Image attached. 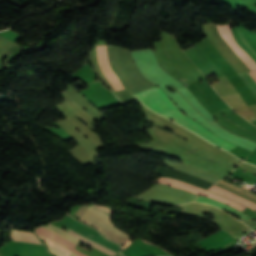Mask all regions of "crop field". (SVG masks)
Returning a JSON list of instances; mask_svg holds the SVG:
<instances>
[{
	"label": "crop field",
	"mask_w": 256,
	"mask_h": 256,
	"mask_svg": "<svg viewBox=\"0 0 256 256\" xmlns=\"http://www.w3.org/2000/svg\"><path fill=\"white\" fill-rule=\"evenodd\" d=\"M122 256V255H121Z\"/></svg>",
	"instance_id": "obj_15"
},
{
	"label": "crop field",
	"mask_w": 256,
	"mask_h": 256,
	"mask_svg": "<svg viewBox=\"0 0 256 256\" xmlns=\"http://www.w3.org/2000/svg\"><path fill=\"white\" fill-rule=\"evenodd\" d=\"M247 73L256 81V69L252 71H247Z\"/></svg>",
	"instance_id": "obj_14"
},
{
	"label": "crop field",
	"mask_w": 256,
	"mask_h": 256,
	"mask_svg": "<svg viewBox=\"0 0 256 256\" xmlns=\"http://www.w3.org/2000/svg\"><path fill=\"white\" fill-rule=\"evenodd\" d=\"M209 190L213 191L215 193H218L220 195H223L225 197L231 198V199H233V200H235V201H237V202H239V203H241V204H243V205H245V206H247L249 208H252V209L256 210V204L255 203H252V202H250V201H248V200H246V199H244L242 197H239V196H237V195H235V194H233L231 192H228V191H226V190H224L222 188H219V187H217L215 185L211 189H209Z\"/></svg>",
	"instance_id": "obj_9"
},
{
	"label": "crop field",
	"mask_w": 256,
	"mask_h": 256,
	"mask_svg": "<svg viewBox=\"0 0 256 256\" xmlns=\"http://www.w3.org/2000/svg\"><path fill=\"white\" fill-rule=\"evenodd\" d=\"M59 222L68 226L69 228H71V229H73V230H75V231H77V232H79V233H81V234H83V235H85V236H87V237H89V238H91V239H93V240H95V241H97V242H99V243L117 251V252H119V250H120L119 246L103 239L95 229H93L91 227H88V226L80 223L77 220L72 219L68 215L66 216L65 219H63ZM43 227L52 231V232H54V233H56V234H58V235H60V236H62V237H64V238H66V239H68V240H70V241H72V242H74V243H76V244L78 242H80L81 239H83L82 242H84V243H86V244H88L92 247H95V248H97V249H99V250H101V251H103V252H105V253H107L111 256L116 254V252H114V251H112V250H110V249H108V248H106V247H104V246H102V245H100V244H98V243H96V242H94V241H92V240H90V239H88V238L70 230V229H68L67 232H69V233H71V234H73V235H75V236H77L81 239H79V238H77V237H75V236H73V235H71V234L53 226V225H51V224L45 225ZM44 228H42V227L38 228L36 230V233L45 237V238H47V239H49V240H51V241H53V242H55V243H57V244H59V245H61V246H63L64 248L76 253L79 256H86V255H84V254H82V253H80V252H78L77 250L74 249L75 244H73V243L55 235L54 233H52V232H50V231H48Z\"/></svg>",
	"instance_id": "obj_2"
},
{
	"label": "crop field",
	"mask_w": 256,
	"mask_h": 256,
	"mask_svg": "<svg viewBox=\"0 0 256 256\" xmlns=\"http://www.w3.org/2000/svg\"><path fill=\"white\" fill-rule=\"evenodd\" d=\"M97 57L103 74L110 81L115 91L124 89V86L110 67L106 46H97Z\"/></svg>",
	"instance_id": "obj_4"
},
{
	"label": "crop field",
	"mask_w": 256,
	"mask_h": 256,
	"mask_svg": "<svg viewBox=\"0 0 256 256\" xmlns=\"http://www.w3.org/2000/svg\"><path fill=\"white\" fill-rule=\"evenodd\" d=\"M196 202H202V203H206V204H209V205L216 206V207H218V208H220V209H224V210H226V211H228V212L233 213L234 215H236V216H237L238 218H240V219L249 220V217H247L244 213H242V212H240V211H237V210H235V209H233V208H230V207H228V206H226V205H224V204H222V203H220V202H218V201H215V200H213V199L204 198V197H200V196H199V197L196 199Z\"/></svg>",
	"instance_id": "obj_8"
},
{
	"label": "crop field",
	"mask_w": 256,
	"mask_h": 256,
	"mask_svg": "<svg viewBox=\"0 0 256 256\" xmlns=\"http://www.w3.org/2000/svg\"><path fill=\"white\" fill-rule=\"evenodd\" d=\"M240 78L244 81V83L248 86V88L251 90V92L256 97V84L255 82L245 73L239 74Z\"/></svg>",
	"instance_id": "obj_12"
},
{
	"label": "crop field",
	"mask_w": 256,
	"mask_h": 256,
	"mask_svg": "<svg viewBox=\"0 0 256 256\" xmlns=\"http://www.w3.org/2000/svg\"><path fill=\"white\" fill-rule=\"evenodd\" d=\"M232 33L238 43L249 53L256 62V34L242 28H232Z\"/></svg>",
	"instance_id": "obj_5"
},
{
	"label": "crop field",
	"mask_w": 256,
	"mask_h": 256,
	"mask_svg": "<svg viewBox=\"0 0 256 256\" xmlns=\"http://www.w3.org/2000/svg\"><path fill=\"white\" fill-rule=\"evenodd\" d=\"M165 165L170 167V168L188 173L192 176H195V177H198V178H201V179L213 182V183L220 180V179H218V178H216V177H214L210 174H207V173H204V172L200 171L197 168L190 167V166H187V165L172 163V162H169V161H165Z\"/></svg>",
	"instance_id": "obj_6"
},
{
	"label": "crop field",
	"mask_w": 256,
	"mask_h": 256,
	"mask_svg": "<svg viewBox=\"0 0 256 256\" xmlns=\"http://www.w3.org/2000/svg\"><path fill=\"white\" fill-rule=\"evenodd\" d=\"M201 196H205V197H210V198L216 199V200L221 201V202H223V203H225V204H228V205H230V206H232V207H234V208H236V209H238V210H240V211H242L243 209H245V207H243V206H241V205H239V204H237V203H235V202H233V201H231V200H228V199L219 197V196H217V195H215V194H212V193H210V192H208V191H206V192H205L203 195H201Z\"/></svg>",
	"instance_id": "obj_11"
},
{
	"label": "crop field",
	"mask_w": 256,
	"mask_h": 256,
	"mask_svg": "<svg viewBox=\"0 0 256 256\" xmlns=\"http://www.w3.org/2000/svg\"><path fill=\"white\" fill-rule=\"evenodd\" d=\"M134 97L143 104H145L151 110L156 111L168 117L169 119L174 120L175 122L192 130L193 132L199 134L200 136L206 138L212 143L228 151L236 146L216 137L206 128L184 115L178 109V107L165 95L164 91L159 89L157 86L136 93L134 94Z\"/></svg>",
	"instance_id": "obj_1"
},
{
	"label": "crop field",
	"mask_w": 256,
	"mask_h": 256,
	"mask_svg": "<svg viewBox=\"0 0 256 256\" xmlns=\"http://www.w3.org/2000/svg\"><path fill=\"white\" fill-rule=\"evenodd\" d=\"M156 183H163V184L171 185L173 187L184 189V190L196 193V194H201L205 191L203 189L197 188L195 186H192V185L180 182V181H176V180H172V179H168V178H162V177H159L158 180L156 181Z\"/></svg>",
	"instance_id": "obj_7"
},
{
	"label": "crop field",
	"mask_w": 256,
	"mask_h": 256,
	"mask_svg": "<svg viewBox=\"0 0 256 256\" xmlns=\"http://www.w3.org/2000/svg\"><path fill=\"white\" fill-rule=\"evenodd\" d=\"M12 238H13V241L31 242V243L40 244L37 238L33 235V232L20 231V230L14 229L12 233Z\"/></svg>",
	"instance_id": "obj_10"
},
{
	"label": "crop field",
	"mask_w": 256,
	"mask_h": 256,
	"mask_svg": "<svg viewBox=\"0 0 256 256\" xmlns=\"http://www.w3.org/2000/svg\"><path fill=\"white\" fill-rule=\"evenodd\" d=\"M0 36L10 39L14 42H16L17 40H19L22 37L10 29L7 31H4V32H0Z\"/></svg>",
	"instance_id": "obj_13"
},
{
	"label": "crop field",
	"mask_w": 256,
	"mask_h": 256,
	"mask_svg": "<svg viewBox=\"0 0 256 256\" xmlns=\"http://www.w3.org/2000/svg\"><path fill=\"white\" fill-rule=\"evenodd\" d=\"M88 207L110 217L111 211L106 209V208L96 207V206H88ZM89 208L81 207L80 210L77 212V214L75 213L76 216H78V217H80L82 219H85V220H87V221H89L91 223H94V224H96V225H98L100 227H103V228H105V229H107L109 231H112V232H114V233H116L118 235H121V236H123V237L128 239V236L126 234L120 232L119 230H117L116 228H114L112 226L109 217H107V216H105L103 214H100V213H98L96 211H93V210H91ZM76 216H74V217H76ZM78 217H76V218H78ZM80 218H78V219H80ZM82 219H80V220H82ZM85 220H82V221H85ZM87 221H85V222H87ZM89 222H87V223H89ZM91 223H89V224H91ZM94 224H91V225L97 227L107 237H109V238H111V239H113V240H115V241H117V242H119V243H121L123 245L126 244L127 239H125V238H123L121 236H118V235H116V234H114L112 232H109V231H107V230H105L103 228H100V227H98V226H96Z\"/></svg>",
	"instance_id": "obj_3"
}]
</instances>
